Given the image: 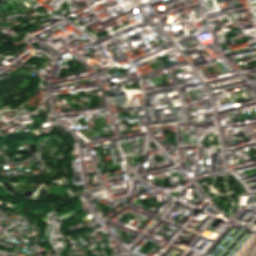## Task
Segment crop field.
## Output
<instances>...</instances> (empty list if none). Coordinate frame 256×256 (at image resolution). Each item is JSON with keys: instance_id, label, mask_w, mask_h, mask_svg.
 I'll use <instances>...</instances> for the list:
<instances>
[{"instance_id": "2", "label": "crop field", "mask_w": 256, "mask_h": 256, "mask_svg": "<svg viewBox=\"0 0 256 256\" xmlns=\"http://www.w3.org/2000/svg\"><path fill=\"white\" fill-rule=\"evenodd\" d=\"M10 95L3 96L1 100L6 101Z\"/></svg>"}, {"instance_id": "1", "label": "crop field", "mask_w": 256, "mask_h": 256, "mask_svg": "<svg viewBox=\"0 0 256 256\" xmlns=\"http://www.w3.org/2000/svg\"><path fill=\"white\" fill-rule=\"evenodd\" d=\"M25 73H16L13 76L0 81V94L12 93L17 85L24 79Z\"/></svg>"}]
</instances>
